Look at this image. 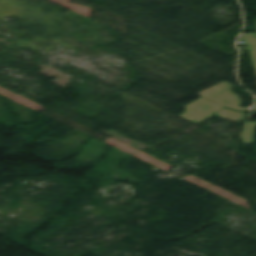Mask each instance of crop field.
<instances>
[{
  "label": "crop field",
  "mask_w": 256,
  "mask_h": 256,
  "mask_svg": "<svg viewBox=\"0 0 256 256\" xmlns=\"http://www.w3.org/2000/svg\"><path fill=\"white\" fill-rule=\"evenodd\" d=\"M232 84L228 82H222L216 86L206 89L197 95L202 96L201 98L186 106V112H184L180 117L194 123L199 124L211 117H213L216 112L221 118L234 120V121H245L243 117V112L231 110L222 107H230L238 110H244V108L238 107L241 103L238 95L231 92ZM201 107V109H199Z\"/></svg>",
  "instance_id": "obj_1"
},
{
  "label": "crop field",
  "mask_w": 256,
  "mask_h": 256,
  "mask_svg": "<svg viewBox=\"0 0 256 256\" xmlns=\"http://www.w3.org/2000/svg\"><path fill=\"white\" fill-rule=\"evenodd\" d=\"M239 39L247 40L249 51L256 50V33L241 34Z\"/></svg>",
  "instance_id": "obj_2"
},
{
  "label": "crop field",
  "mask_w": 256,
  "mask_h": 256,
  "mask_svg": "<svg viewBox=\"0 0 256 256\" xmlns=\"http://www.w3.org/2000/svg\"><path fill=\"white\" fill-rule=\"evenodd\" d=\"M255 27H256V21H255Z\"/></svg>",
  "instance_id": "obj_3"
},
{
  "label": "crop field",
  "mask_w": 256,
  "mask_h": 256,
  "mask_svg": "<svg viewBox=\"0 0 256 256\" xmlns=\"http://www.w3.org/2000/svg\"><path fill=\"white\" fill-rule=\"evenodd\" d=\"M254 110H256V107H255V109Z\"/></svg>",
  "instance_id": "obj_4"
}]
</instances>
